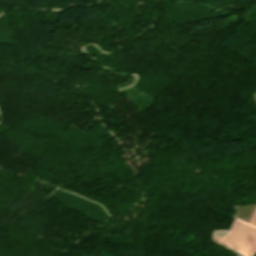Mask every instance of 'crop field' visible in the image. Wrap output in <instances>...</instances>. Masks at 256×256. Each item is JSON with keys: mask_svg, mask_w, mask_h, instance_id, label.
Instances as JSON below:
<instances>
[{"mask_svg": "<svg viewBox=\"0 0 256 256\" xmlns=\"http://www.w3.org/2000/svg\"><path fill=\"white\" fill-rule=\"evenodd\" d=\"M228 232V230H220L214 233L226 236ZM215 234L212 239L220 243L223 236ZM221 244L238 251L243 256H251L256 252V227L237 219Z\"/></svg>", "mask_w": 256, "mask_h": 256, "instance_id": "crop-field-1", "label": "crop field"}, {"mask_svg": "<svg viewBox=\"0 0 256 256\" xmlns=\"http://www.w3.org/2000/svg\"><path fill=\"white\" fill-rule=\"evenodd\" d=\"M249 223L256 226V210H255V212H254V214H253Z\"/></svg>", "mask_w": 256, "mask_h": 256, "instance_id": "crop-field-2", "label": "crop field"}]
</instances>
